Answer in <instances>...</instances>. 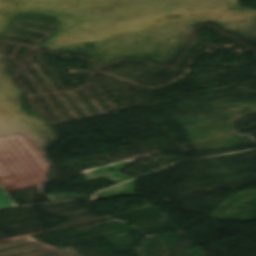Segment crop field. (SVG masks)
Masks as SVG:
<instances>
[{
    "label": "crop field",
    "mask_w": 256,
    "mask_h": 256,
    "mask_svg": "<svg viewBox=\"0 0 256 256\" xmlns=\"http://www.w3.org/2000/svg\"><path fill=\"white\" fill-rule=\"evenodd\" d=\"M49 165L22 134L0 138V183L7 191L41 184Z\"/></svg>",
    "instance_id": "8a807250"
},
{
    "label": "crop field",
    "mask_w": 256,
    "mask_h": 256,
    "mask_svg": "<svg viewBox=\"0 0 256 256\" xmlns=\"http://www.w3.org/2000/svg\"><path fill=\"white\" fill-rule=\"evenodd\" d=\"M9 205H12L11 202L8 200V198L3 193V191L0 189V207L9 206Z\"/></svg>",
    "instance_id": "ac0d7876"
}]
</instances>
